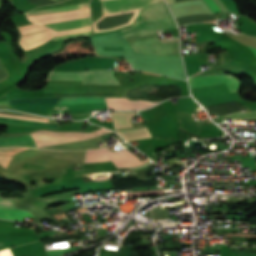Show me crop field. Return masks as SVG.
I'll return each instance as SVG.
<instances>
[{"mask_svg":"<svg viewBox=\"0 0 256 256\" xmlns=\"http://www.w3.org/2000/svg\"><path fill=\"white\" fill-rule=\"evenodd\" d=\"M177 26L167 5L159 1L140 11L132 28L119 33L135 52L180 56L178 40H159L154 31Z\"/></svg>","mask_w":256,"mask_h":256,"instance_id":"8a807250","label":"crop field"},{"mask_svg":"<svg viewBox=\"0 0 256 256\" xmlns=\"http://www.w3.org/2000/svg\"><path fill=\"white\" fill-rule=\"evenodd\" d=\"M46 80H83V83L120 84L113 76V70L49 72Z\"/></svg>","mask_w":256,"mask_h":256,"instance_id":"ac0d7876","label":"crop field"},{"mask_svg":"<svg viewBox=\"0 0 256 256\" xmlns=\"http://www.w3.org/2000/svg\"><path fill=\"white\" fill-rule=\"evenodd\" d=\"M107 160H113L118 168L139 166L149 161L147 158L141 162L127 149L121 150L119 152L109 151L108 149L92 150L86 152L85 163Z\"/></svg>","mask_w":256,"mask_h":256,"instance_id":"34b2d1b8","label":"crop field"},{"mask_svg":"<svg viewBox=\"0 0 256 256\" xmlns=\"http://www.w3.org/2000/svg\"><path fill=\"white\" fill-rule=\"evenodd\" d=\"M86 7H89V2L83 3V4H77V5L64 6V7L30 11L27 13V16L60 12V11L73 10V9H80V8H86ZM44 25L52 28L55 31L76 28V27H82V26H88V25H90V17L69 20V21L56 22V23H50V24H44ZM89 33H90V31L79 33V34H73V35L58 36V37L52 38V40L88 35Z\"/></svg>","mask_w":256,"mask_h":256,"instance_id":"412701ff","label":"crop field"},{"mask_svg":"<svg viewBox=\"0 0 256 256\" xmlns=\"http://www.w3.org/2000/svg\"><path fill=\"white\" fill-rule=\"evenodd\" d=\"M210 7L213 13L220 12L219 8L215 5L212 0H204ZM203 0H188L185 2H179L169 4L175 18L182 17L185 15L193 14H208L212 13Z\"/></svg>","mask_w":256,"mask_h":256,"instance_id":"f4fd0767","label":"crop field"},{"mask_svg":"<svg viewBox=\"0 0 256 256\" xmlns=\"http://www.w3.org/2000/svg\"><path fill=\"white\" fill-rule=\"evenodd\" d=\"M191 88L225 83L230 92L238 91L240 84L237 79L232 76L215 74L189 78Z\"/></svg>","mask_w":256,"mask_h":256,"instance_id":"dd49c442","label":"crop field"},{"mask_svg":"<svg viewBox=\"0 0 256 256\" xmlns=\"http://www.w3.org/2000/svg\"><path fill=\"white\" fill-rule=\"evenodd\" d=\"M159 0H105L102 1V14L145 7Z\"/></svg>","mask_w":256,"mask_h":256,"instance_id":"e52e79f7","label":"crop field"},{"mask_svg":"<svg viewBox=\"0 0 256 256\" xmlns=\"http://www.w3.org/2000/svg\"><path fill=\"white\" fill-rule=\"evenodd\" d=\"M60 97L9 100L10 105L57 102ZM105 102L104 97H62L59 103Z\"/></svg>","mask_w":256,"mask_h":256,"instance_id":"d8731c3e","label":"crop field"},{"mask_svg":"<svg viewBox=\"0 0 256 256\" xmlns=\"http://www.w3.org/2000/svg\"><path fill=\"white\" fill-rule=\"evenodd\" d=\"M24 217L33 218V216L29 212L25 210L16 209L15 198L3 199L0 197L1 219L22 221Z\"/></svg>","mask_w":256,"mask_h":256,"instance_id":"5a996713","label":"crop field"},{"mask_svg":"<svg viewBox=\"0 0 256 256\" xmlns=\"http://www.w3.org/2000/svg\"><path fill=\"white\" fill-rule=\"evenodd\" d=\"M109 109H145L158 103H150L145 101H129L126 98H106Z\"/></svg>","mask_w":256,"mask_h":256,"instance_id":"3316defc","label":"crop field"},{"mask_svg":"<svg viewBox=\"0 0 256 256\" xmlns=\"http://www.w3.org/2000/svg\"><path fill=\"white\" fill-rule=\"evenodd\" d=\"M115 189L156 186L158 181L145 182L132 177L109 180Z\"/></svg>","mask_w":256,"mask_h":256,"instance_id":"28ad6ade","label":"crop field"},{"mask_svg":"<svg viewBox=\"0 0 256 256\" xmlns=\"http://www.w3.org/2000/svg\"><path fill=\"white\" fill-rule=\"evenodd\" d=\"M7 145H20V146H26V147H33L30 134L26 136H20V137L0 138V146H7Z\"/></svg>","mask_w":256,"mask_h":256,"instance_id":"d1516ede","label":"crop field"},{"mask_svg":"<svg viewBox=\"0 0 256 256\" xmlns=\"http://www.w3.org/2000/svg\"><path fill=\"white\" fill-rule=\"evenodd\" d=\"M0 122L27 125V126L37 125V126H42V127H47V128L58 129V125L47 124V123H43V122L27 121V120H18V119H10V118L0 117Z\"/></svg>","mask_w":256,"mask_h":256,"instance_id":"22f410ed","label":"crop field"},{"mask_svg":"<svg viewBox=\"0 0 256 256\" xmlns=\"http://www.w3.org/2000/svg\"><path fill=\"white\" fill-rule=\"evenodd\" d=\"M70 239H76L78 241L83 240V236L81 233L79 234H74V235H68V236H56V237H49L46 239L42 240L43 244L46 243H52V242H59V241H65V240H70Z\"/></svg>","mask_w":256,"mask_h":256,"instance_id":"cbeb9de0","label":"crop field"},{"mask_svg":"<svg viewBox=\"0 0 256 256\" xmlns=\"http://www.w3.org/2000/svg\"><path fill=\"white\" fill-rule=\"evenodd\" d=\"M225 117H233L236 119H250V118H256V111L248 112V113H237Z\"/></svg>","mask_w":256,"mask_h":256,"instance_id":"5142ce71","label":"crop field"},{"mask_svg":"<svg viewBox=\"0 0 256 256\" xmlns=\"http://www.w3.org/2000/svg\"><path fill=\"white\" fill-rule=\"evenodd\" d=\"M78 248H80V246L75 247V248H67V249L49 251V252H46V254H47V256H60V255H63L65 253L72 252V251H74V250H76Z\"/></svg>","mask_w":256,"mask_h":256,"instance_id":"d9b57169","label":"crop field"},{"mask_svg":"<svg viewBox=\"0 0 256 256\" xmlns=\"http://www.w3.org/2000/svg\"><path fill=\"white\" fill-rule=\"evenodd\" d=\"M143 127H146V126L136 127V128H143ZM130 129H135V128H130ZM124 130H128V129H124ZM118 131H120V130H118Z\"/></svg>","mask_w":256,"mask_h":256,"instance_id":"733c2abd","label":"crop field"},{"mask_svg":"<svg viewBox=\"0 0 256 256\" xmlns=\"http://www.w3.org/2000/svg\"><path fill=\"white\" fill-rule=\"evenodd\" d=\"M167 3H172V2H175V0H166Z\"/></svg>","mask_w":256,"mask_h":256,"instance_id":"4a817a6b","label":"crop field"},{"mask_svg":"<svg viewBox=\"0 0 256 256\" xmlns=\"http://www.w3.org/2000/svg\"><path fill=\"white\" fill-rule=\"evenodd\" d=\"M249 48H251V47H249ZM253 51H254V53H255V55H256V49L255 48H251ZM252 51V52H253Z\"/></svg>","mask_w":256,"mask_h":256,"instance_id":"bc2a9ffb","label":"crop field"},{"mask_svg":"<svg viewBox=\"0 0 256 256\" xmlns=\"http://www.w3.org/2000/svg\"><path fill=\"white\" fill-rule=\"evenodd\" d=\"M8 154H14V153H8ZM8 154H0V155H8Z\"/></svg>","mask_w":256,"mask_h":256,"instance_id":"214f88e0","label":"crop field"},{"mask_svg":"<svg viewBox=\"0 0 256 256\" xmlns=\"http://www.w3.org/2000/svg\"><path fill=\"white\" fill-rule=\"evenodd\" d=\"M54 1H58V0H54Z\"/></svg>","mask_w":256,"mask_h":256,"instance_id":"92a150f3","label":"crop field"},{"mask_svg":"<svg viewBox=\"0 0 256 256\" xmlns=\"http://www.w3.org/2000/svg\"><path fill=\"white\" fill-rule=\"evenodd\" d=\"M49 30V29H48ZM45 31V30H44Z\"/></svg>","mask_w":256,"mask_h":256,"instance_id":"dafd665d","label":"crop field"}]
</instances>
